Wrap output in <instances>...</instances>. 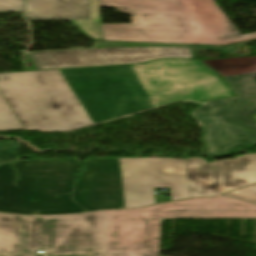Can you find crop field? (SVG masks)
<instances>
[{"label":"crop field","mask_w":256,"mask_h":256,"mask_svg":"<svg viewBox=\"0 0 256 256\" xmlns=\"http://www.w3.org/2000/svg\"><path fill=\"white\" fill-rule=\"evenodd\" d=\"M232 93L198 61L0 74V129L65 131L175 101Z\"/></svg>","instance_id":"8a807250"},{"label":"crop field","mask_w":256,"mask_h":256,"mask_svg":"<svg viewBox=\"0 0 256 256\" xmlns=\"http://www.w3.org/2000/svg\"><path fill=\"white\" fill-rule=\"evenodd\" d=\"M160 218H256V205L195 199L128 211L27 217L0 214V256H159Z\"/></svg>","instance_id":"ac0d7876"},{"label":"crop field","mask_w":256,"mask_h":256,"mask_svg":"<svg viewBox=\"0 0 256 256\" xmlns=\"http://www.w3.org/2000/svg\"><path fill=\"white\" fill-rule=\"evenodd\" d=\"M131 15V24H102L103 40L226 45L256 38L242 35L214 0H99Z\"/></svg>","instance_id":"34b2d1b8"},{"label":"crop field","mask_w":256,"mask_h":256,"mask_svg":"<svg viewBox=\"0 0 256 256\" xmlns=\"http://www.w3.org/2000/svg\"><path fill=\"white\" fill-rule=\"evenodd\" d=\"M78 159L18 160L0 165V211L18 214L85 212L71 200Z\"/></svg>","instance_id":"412701ff"},{"label":"crop field","mask_w":256,"mask_h":256,"mask_svg":"<svg viewBox=\"0 0 256 256\" xmlns=\"http://www.w3.org/2000/svg\"><path fill=\"white\" fill-rule=\"evenodd\" d=\"M221 75L237 96L205 102L192 116L204 124L208 150L226 153L256 143V56L203 61Z\"/></svg>","instance_id":"f4fd0767"},{"label":"crop field","mask_w":256,"mask_h":256,"mask_svg":"<svg viewBox=\"0 0 256 256\" xmlns=\"http://www.w3.org/2000/svg\"><path fill=\"white\" fill-rule=\"evenodd\" d=\"M191 45L100 41L92 50L30 53L23 56L26 71L51 68L145 63L156 59L192 58ZM30 63V67L26 64Z\"/></svg>","instance_id":"dd49c442"},{"label":"crop field","mask_w":256,"mask_h":256,"mask_svg":"<svg viewBox=\"0 0 256 256\" xmlns=\"http://www.w3.org/2000/svg\"><path fill=\"white\" fill-rule=\"evenodd\" d=\"M126 208L155 204L153 188H170L172 201L189 198L184 159L119 158Z\"/></svg>","instance_id":"e52e79f7"},{"label":"crop field","mask_w":256,"mask_h":256,"mask_svg":"<svg viewBox=\"0 0 256 256\" xmlns=\"http://www.w3.org/2000/svg\"><path fill=\"white\" fill-rule=\"evenodd\" d=\"M191 197L215 196L256 182V154L207 164L202 158L185 159Z\"/></svg>","instance_id":"d8731c3e"},{"label":"crop field","mask_w":256,"mask_h":256,"mask_svg":"<svg viewBox=\"0 0 256 256\" xmlns=\"http://www.w3.org/2000/svg\"><path fill=\"white\" fill-rule=\"evenodd\" d=\"M73 200L87 211L125 208L118 158L86 159Z\"/></svg>","instance_id":"5a996713"},{"label":"crop field","mask_w":256,"mask_h":256,"mask_svg":"<svg viewBox=\"0 0 256 256\" xmlns=\"http://www.w3.org/2000/svg\"><path fill=\"white\" fill-rule=\"evenodd\" d=\"M25 3L28 19H69L85 35L102 40L98 0H25Z\"/></svg>","instance_id":"3316defc"},{"label":"crop field","mask_w":256,"mask_h":256,"mask_svg":"<svg viewBox=\"0 0 256 256\" xmlns=\"http://www.w3.org/2000/svg\"><path fill=\"white\" fill-rule=\"evenodd\" d=\"M223 195L256 203V184Z\"/></svg>","instance_id":"28ad6ade"},{"label":"crop field","mask_w":256,"mask_h":256,"mask_svg":"<svg viewBox=\"0 0 256 256\" xmlns=\"http://www.w3.org/2000/svg\"><path fill=\"white\" fill-rule=\"evenodd\" d=\"M20 146L13 142L0 141V158H16Z\"/></svg>","instance_id":"d1516ede"},{"label":"crop field","mask_w":256,"mask_h":256,"mask_svg":"<svg viewBox=\"0 0 256 256\" xmlns=\"http://www.w3.org/2000/svg\"><path fill=\"white\" fill-rule=\"evenodd\" d=\"M0 11H23V0H0Z\"/></svg>","instance_id":"22f410ed"},{"label":"crop field","mask_w":256,"mask_h":256,"mask_svg":"<svg viewBox=\"0 0 256 256\" xmlns=\"http://www.w3.org/2000/svg\"><path fill=\"white\" fill-rule=\"evenodd\" d=\"M8 160H12V159H0V163L8 161Z\"/></svg>","instance_id":"cbeb9de0"},{"label":"crop field","mask_w":256,"mask_h":256,"mask_svg":"<svg viewBox=\"0 0 256 256\" xmlns=\"http://www.w3.org/2000/svg\"><path fill=\"white\" fill-rule=\"evenodd\" d=\"M254 117V119L256 120V115H252Z\"/></svg>","instance_id":"5142ce71"}]
</instances>
